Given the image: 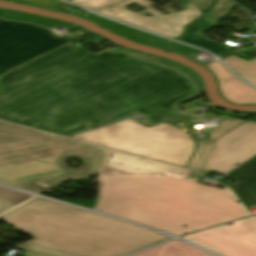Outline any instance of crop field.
<instances>
[{
    "mask_svg": "<svg viewBox=\"0 0 256 256\" xmlns=\"http://www.w3.org/2000/svg\"><path fill=\"white\" fill-rule=\"evenodd\" d=\"M194 90L165 67L111 49L94 54L69 42L5 72L0 118L62 135L133 113L156 123L179 113L173 105L197 95Z\"/></svg>",
    "mask_w": 256,
    "mask_h": 256,
    "instance_id": "8a807250",
    "label": "crop field"
},
{
    "mask_svg": "<svg viewBox=\"0 0 256 256\" xmlns=\"http://www.w3.org/2000/svg\"><path fill=\"white\" fill-rule=\"evenodd\" d=\"M96 210L175 236L248 216L226 188L166 174L101 176Z\"/></svg>",
    "mask_w": 256,
    "mask_h": 256,
    "instance_id": "ac0d7876",
    "label": "crop field"
},
{
    "mask_svg": "<svg viewBox=\"0 0 256 256\" xmlns=\"http://www.w3.org/2000/svg\"><path fill=\"white\" fill-rule=\"evenodd\" d=\"M27 243L80 256H122L169 238L115 219L34 197L0 216Z\"/></svg>",
    "mask_w": 256,
    "mask_h": 256,
    "instance_id": "34b2d1b8",
    "label": "crop field"
},
{
    "mask_svg": "<svg viewBox=\"0 0 256 256\" xmlns=\"http://www.w3.org/2000/svg\"><path fill=\"white\" fill-rule=\"evenodd\" d=\"M108 148L56 136L0 121V167L53 157L65 173L6 184L32 193H40L35 181L55 185L67 179L101 173ZM79 157L85 164L78 169L67 168L63 160ZM65 161V160H64Z\"/></svg>",
    "mask_w": 256,
    "mask_h": 256,
    "instance_id": "412701ff",
    "label": "crop field"
},
{
    "mask_svg": "<svg viewBox=\"0 0 256 256\" xmlns=\"http://www.w3.org/2000/svg\"><path fill=\"white\" fill-rule=\"evenodd\" d=\"M188 119L192 118L178 115L147 128L128 118L71 138L185 168L195 145L187 133L166 124Z\"/></svg>",
    "mask_w": 256,
    "mask_h": 256,
    "instance_id": "f4fd0767",
    "label": "crop field"
},
{
    "mask_svg": "<svg viewBox=\"0 0 256 256\" xmlns=\"http://www.w3.org/2000/svg\"><path fill=\"white\" fill-rule=\"evenodd\" d=\"M69 2L173 39L183 33L186 23L203 15L193 4L185 5L188 9L180 13L164 8L170 13L165 16L151 8L150 6L153 3L147 0H70ZM132 3H136L146 9L139 14L129 12L125 6ZM145 13L153 16L147 17L143 15Z\"/></svg>",
    "mask_w": 256,
    "mask_h": 256,
    "instance_id": "dd49c442",
    "label": "crop field"
},
{
    "mask_svg": "<svg viewBox=\"0 0 256 256\" xmlns=\"http://www.w3.org/2000/svg\"><path fill=\"white\" fill-rule=\"evenodd\" d=\"M56 33L32 24L0 19V74L77 39L59 38Z\"/></svg>",
    "mask_w": 256,
    "mask_h": 256,
    "instance_id": "e52e79f7",
    "label": "crop field"
},
{
    "mask_svg": "<svg viewBox=\"0 0 256 256\" xmlns=\"http://www.w3.org/2000/svg\"><path fill=\"white\" fill-rule=\"evenodd\" d=\"M255 153L256 123L244 122L217 139L201 172L186 169L184 175L198 180L212 170L225 174Z\"/></svg>",
    "mask_w": 256,
    "mask_h": 256,
    "instance_id": "d8731c3e",
    "label": "crop field"
},
{
    "mask_svg": "<svg viewBox=\"0 0 256 256\" xmlns=\"http://www.w3.org/2000/svg\"><path fill=\"white\" fill-rule=\"evenodd\" d=\"M233 224L208 229L183 239L221 256H256V216Z\"/></svg>",
    "mask_w": 256,
    "mask_h": 256,
    "instance_id": "5a996713",
    "label": "crop field"
},
{
    "mask_svg": "<svg viewBox=\"0 0 256 256\" xmlns=\"http://www.w3.org/2000/svg\"><path fill=\"white\" fill-rule=\"evenodd\" d=\"M206 67L216 75L223 98L236 104H256V89L236 78L218 60Z\"/></svg>",
    "mask_w": 256,
    "mask_h": 256,
    "instance_id": "3316defc",
    "label": "crop field"
},
{
    "mask_svg": "<svg viewBox=\"0 0 256 256\" xmlns=\"http://www.w3.org/2000/svg\"><path fill=\"white\" fill-rule=\"evenodd\" d=\"M82 17H86V18L98 23L102 27H104L112 32H115L117 34H120L124 37H127L131 40H134V41L142 43V44L154 46L159 49L167 50V45L170 42L164 38L108 21L106 19H103L101 17L95 16L90 13H88ZM170 51L177 53V54H181V55L190 54L191 56H193L199 50H195V49L172 42L170 44Z\"/></svg>",
    "mask_w": 256,
    "mask_h": 256,
    "instance_id": "28ad6ade",
    "label": "crop field"
},
{
    "mask_svg": "<svg viewBox=\"0 0 256 256\" xmlns=\"http://www.w3.org/2000/svg\"><path fill=\"white\" fill-rule=\"evenodd\" d=\"M107 166L135 172H165L168 174L181 176L184 168L164 164L143 157L114 151L109 149L105 164Z\"/></svg>",
    "mask_w": 256,
    "mask_h": 256,
    "instance_id": "d1516ede",
    "label": "crop field"
},
{
    "mask_svg": "<svg viewBox=\"0 0 256 256\" xmlns=\"http://www.w3.org/2000/svg\"><path fill=\"white\" fill-rule=\"evenodd\" d=\"M62 169L53 158L0 168V183L6 184L57 173Z\"/></svg>",
    "mask_w": 256,
    "mask_h": 256,
    "instance_id": "22f410ed",
    "label": "crop field"
},
{
    "mask_svg": "<svg viewBox=\"0 0 256 256\" xmlns=\"http://www.w3.org/2000/svg\"><path fill=\"white\" fill-rule=\"evenodd\" d=\"M227 176L237 179L227 186L233 191L245 208L247 209L253 205L256 202V156Z\"/></svg>",
    "mask_w": 256,
    "mask_h": 256,
    "instance_id": "cbeb9de0",
    "label": "crop field"
},
{
    "mask_svg": "<svg viewBox=\"0 0 256 256\" xmlns=\"http://www.w3.org/2000/svg\"><path fill=\"white\" fill-rule=\"evenodd\" d=\"M216 24L217 23L203 16L195 22L188 25L186 33L177 40L204 48L219 56L229 51V49L224 48L222 45L204 37L201 34L203 31L215 26Z\"/></svg>",
    "mask_w": 256,
    "mask_h": 256,
    "instance_id": "5142ce71",
    "label": "crop field"
},
{
    "mask_svg": "<svg viewBox=\"0 0 256 256\" xmlns=\"http://www.w3.org/2000/svg\"><path fill=\"white\" fill-rule=\"evenodd\" d=\"M240 123H242V121L222 120L219 123L220 127L218 129L208 130V139L196 140L199 146L193 154L187 168L200 171L215 140L239 125Z\"/></svg>",
    "mask_w": 256,
    "mask_h": 256,
    "instance_id": "d9b57169",
    "label": "crop field"
},
{
    "mask_svg": "<svg viewBox=\"0 0 256 256\" xmlns=\"http://www.w3.org/2000/svg\"><path fill=\"white\" fill-rule=\"evenodd\" d=\"M131 256H212L176 240L169 241L154 248Z\"/></svg>",
    "mask_w": 256,
    "mask_h": 256,
    "instance_id": "733c2abd",
    "label": "crop field"
},
{
    "mask_svg": "<svg viewBox=\"0 0 256 256\" xmlns=\"http://www.w3.org/2000/svg\"><path fill=\"white\" fill-rule=\"evenodd\" d=\"M0 17L7 18V19H12V20L32 22V23H35L37 25L47 27V28H51V29H54V30H57V31L63 29V30H66L64 33H67V32L76 28L74 26H71V25H68V24H65V23H62V22H59V21L40 18V17H36V16H31V15H27V14L12 12V11L3 10V9H0Z\"/></svg>",
    "mask_w": 256,
    "mask_h": 256,
    "instance_id": "4a817a6b",
    "label": "crop field"
},
{
    "mask_svg": "<svg viewBox=\"0 0 256 256\" xmlns=\"http://www.w3.org/2000/svg\"><path fill=\"white\" fill-rule=\"evenodd\" d=\"M256 47V43L253 44ZM237 72L246 81L256 86V59L247 62L237 57L231 56L222 60Z\"/></svg>",
    "mask_w": 256,
    "mask_h": 256,
    "instance_id": "bc2a9ffb",
    "label": "crop field"
},
{
    "mask_svg": "<svg viewBox=\"0 0 256 256\" xmlns=\"http://www.w3.org/2000/svg\"><path fill=\"white\" fill-rule=\"evenodd\" d=\"M234 5L230 0H216L213 9L204 16L218 23Z\"/></svg>",
    "mask_w": 256,
    "mask_h": 256,
    "instance_id": "214f88e0",
    "label": "crop field"
},
{
    "mask_svg": "<svg viewBox=\"0 0 256 256\" xmlns=\"http://www.w3.org/2000/svg\"><path fill=\"white\" fill-rule=\"evenodd\" d=\"M17 247L25 249L24 252H28V253H32L40 256H76V255L63 253V252H59L51 249H46V248H42V247H38V246L26 244V243H23Z\"/></svg>",
    "mask_w": 256,
    "mask_h": 256,
    "instance_id": "92a150f3",
    "label": "crop field"
},
{
    "mask_svg": "<svg viewBox=\"0 0 256 256\" xmlns=\"http://www.w3.org/2000/svg\"><path fill=\"white\" fill-rule=\"evenodd\" d=\"M29 197L31 196L0 187V200L6 201L8 203L16 205V202H22Z\"/></svg>",
    "mask_w": 256,
    "mask_h": 256,
    "instance_id": "dafd665d",
    "label": "crop field"
},
{
    "mask_svg": "<svg viewBox=\"0 0 256 256\" xmlns=\"http://www.w3.org/2000/svg\"><path fill=\"white\" fill-rule=\"evenodd\" d=\"M8 1L35 6V7L46 8V9H51L59 5L65 4L58 0H8Z\"/></svg>",
    "mask_w": 256,
    "mask_h": 256,
    "instance_id": "00972430",
    "label": "crop field"
},
{
    "mask_svg": "<svg viewBox=\"0 0 256 256\" xmlns=\"http://www.w3.org/2000/svg\"><path fill=\"white\" fill-rule=\"evenodd\" d=\"M159 63L166 64L168 66L177 68V69L187 73L188 75H190L192 77V79L194 80V82L197 84L198 87H203L201 78L196 73L192 72L190 69H188L184 66H181V65H179L175 62L168 61V60H165V59H162L161 61H159Z\"/></svg>",
    "mask_w": 256,
    "mask_h": 256,
    "instance_id": "a9b5d70f",
    "label": "crop field"
},
{
    "mask_svg": "<svg viewBox=\"0 0 256 256\" xmlns=\"http://www.w3.org/2000/svg\"><path fill=\"white\" fill-rule=\"evenodd\" d=\"M214 0H187V3H193L203 14L208 11Z\"/></svg>",
    "mask_w": 256,
    "mask_h": 256,
    "instance_id": "4177f3b9",
    "label": "crop field"
},
{
    "mask_svg": "<svg viewBox=\"0 0 256 256\" xmlns=\"http://www.w3.org/2000/svg\"><path fill=\"white\" fill-rule=\"evenodd\" d=\"M145 174H152V173H145ZM101 175H134V173H130V172H126V171H122V170L104 166ZM181 178L185 179L184 176H182ZM186 180H188V179H186ZM190 181H194V180H190ZM194 182H196V181H194Z\"/></svg>",
    "mask_w": 256,
    "mask_h": 256,
    "instance_id": "730fd06b",
    "label": "crop field"
},
{
    "mask_svg": "<svg viewBox=\"0 0 256 256\" xmlns=\"http://www.w3.org/2000/svg\"><path fill=\"white\" fill-rule=\"evenodd\" d=\"M125 49V48H124ZM123 51H126L128 53H131L135 56H138V57H141V58H144L146 60H150V61H154V62H157L160 58L159 57H155V56H150V55H145V54H141V53H137V52H134V51H130V50H123Z\"/></svg>",
    "mask_w": 256,
    "mask_h": 256,
    "instance_id": "eef30255",
    "label": "crop field"
},
{
    "mask_svg": "<svg viewBox=\"0 0 256 256\" xmlns=\"http://www.w3.org/2000/svg\"><path fill=\"white\" fill-rule=\"evenodd\" d=\"M14 205L8 204L6 202L0 201V213L6 211L7 209L13 207Z\"/></svg>",
    "mask_w": 256,
    "mask_h": 256,
    "instance_id": "ae1a2a85",
    "label": "crop field"
},
{
    "mask_svg": "<svg viewBox=\"0 0 256 256\" xmlns=\"http://www.w3.org/2000/svg\"><path fill=\"white\" fill-rule=\"evenodd\" d=\"M255 155H256V154H255ZM255 155H254V156H255ZM252 157H253V156H252ZM252 157H251V158H252ZM249 159H250V158H249ZM249 159H248V160H249ZM246 161H247V160H246ZM246 161H245V162H246ZM243 163H244V162H243ZM243 163L235 164V165H234V169L237 168L238 166H240V165L243 164ZM234 169H233V170H234ZM231 171H232V170H231ZM231 171H230V172H231ZM228 173H229V172H228ZM228 173H227V174H228ZM225 175H226V174H225Z\"/></svg>",
    "mask_w": 256,
    "mask_h": 256,
    "instance_id": "d3111659",
    "label": "crop field"
},
{
    "mask_svg": "<svg viewBox=\"0 0 256 256\" xmlns=\"http://www.w3.org/2000/svg\"><path fill=\"white\" fill-rule=\"evenodd\" d=\"M23 256H31V255L24 254Z\"/></svg>",
    "mask_w": 256,
    "mask_h": 256,
    "instance_id": "750c4746",
    "label": "crop field"
},
{
    "mask_svg": "<svg viewBox=\"0 0 256 256\" xmlns=\"http://www.w3.org/2000/svg\"><path fill=\"white\" fill-rule=\"evenodd\" d=\"M66 1H68V0H66Z\"/></svg>",
    "mask_w": 256,
    "mask_h": 256,
    "instance_id": "bd1437ed",
    "label": "crop field"
}]
</instances>
